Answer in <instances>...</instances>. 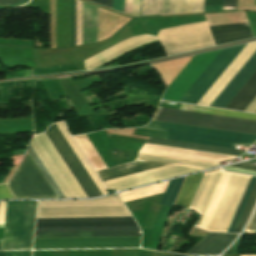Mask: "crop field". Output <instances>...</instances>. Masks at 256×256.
Returning <instances> with one entry per match:
<instances>
[{
	"instance_id": "obj_1",
	"label": "crop field",
	"mask_w": 256,
	"mask_h": 256,
	"mask_svg": "<svg viewBox=\"0 0 256 256\" xmlns=\"http://www.w3.org/2000/svg\"><path fill=\"white\" fill-rule=\"evenodd\" d=\"M220 170L204 173L189 208L198 212L215 173ZM250 177L225 171L218 172L199 210L202 216L196 227L207 231L226 232Z\"/></svg>"
},
{
	"instance_id": "obj_2",
	"label": "crop field",
	"mask_w": 256,
	"mask_h": 256,
	"mask_svg": "<svg viewBox=\"0 0 256 256\" xmlns=\"http://www.w3.org/2000/svg\"><path fill=\"white\" fill-rule=\"evenodd\" d=\"M171 165L169 163H162V162H155V161H147V160H140L135 159L133 162H129L123 165H119L113 168L97 171L102 182L136 174L139 172L163 167ZM206 168H199V167H191V166H184V165H171L143 173H139L136 175L104 182L106 189H113V190H122L198 170H203Z\"/></svg>"
},
{
	"instance_id": "obj_3",
	"label": "crop field",
	"mask_w": 256,
	"mask_h": 256,
	"mask_svg": "<svg viewBox=\"0 0 256 256\" xmlns=\"http://www.w3.org/2000/svg\"><path fill=\"white\" fill-rule=\"evenodd\" d=\"M131 216L117 194L95 200L39 201L37 218Z\"/></svg>"
},
{
	"instance_id": "obj_4",
	"label": "crop field",
	"mask_w": 256,
	"mask_h": 256,
	"mask_svg": "<svg viewBox=\"0 0 256 256\" xmlns=\"http://www.w3.org/2000/svg\"><path fill=\"white\" fill-rule=\"evenodd\" d=\"M248 44L245 46V48ZM244 48V49H245ZM243 49V50H244ZM243 50L239 53V55L243 52ZM256 51V42L250 43L249 46L244 50V52L234 59L233 62L228 66V68L222 73V75L216 80V82L210 87V89L205 93V95L199 100L197 105L209 106L211 102L217 97V95L222 91V89L228 84V82L234 77V75L239 71V69L245 64V62L251 57V55ZM256 70V52L252 55V57L246 62V64L240 69V71L235 75V77L229 82V84L223 89V91L218 95V97L212 102L210 106L212 107H220L224 108L226 104L231 100V98L237 93V91L242 87V85L248 80V78L253 74Z\"/></svg>"
},
{
	"instance_id": "obj_5",
	"label": "crop field",
	"mask_w": 256,
	"mask_h": 256,
	"mask_svg": "<svg viewBox=\"0 0 256 256\" xmlns=\"http://www.w3.org/2000/svg\"><path fill=\"white\" fill-rule=\"evenodd\" d=\"M145 128L167 131L165 139L236 149L238 144L254 143L256 136L151 121Z\"/></svg>"
},
{
	"instance_id": "obj_6",
	"label": "crop field",
	"mask_w": 256,
	"mask_h": 256,
	"mask_svg": "<svg viewBox=\"0 0 256 256\" xmlns=\"http://www.w3.org/2000/svg\"><path fill=\"white\" fill-rule=\"evenodd\" d=\"M35 201L7 202L2 249H30Z\"/></svg>"
},
{
	"instance_id": "obj_7",
	"label": "crop field",
	"mask_w": 256,
	"mask_h": 256,
	"mask_svg": "<svg viewBox=\"0 0 256 256\" xmlns=\"http://www.w3.org/2000/svg\"><path fill=\"white\" fill-rule=\"evenodd\" d=\"M157 121L256 135V121L161 108Z\"/></svg>"
},
{
	"instance_id": "obj_8",
	"label": "crop field",
	"mask_w": 256,
	"mask_h": 256,
	"mask_svg": "<svg viewBox=\"0 0 256 256\" xmlns=\"http://www.w3.org/2000/svg\"><path fill=\"white\" fill-rule=\"evenodd\" d=\"M30 144L66 198L86 197L45 133Z\"/></svg>"
},
{
	"instance_id": "obj_9",
	"label": "crop field",
	"mask_w": 256,
	"mask_h": 256,
	"mask_svg": "<svg viewBox=\"0 0 256 256\" xmlns=\"http://www.w3.org/2000/svg\"><path fill=\"white\" fill-rule=\"evenodd\" d=\"M140 230L133 217L37 219L35 232Z\"/></svg>"
},
{
	"instance_id": "obj_10",
	"label": "crop field",
	"mask_w": 256,
	"mask_h": 256,
	"mask_svg": "<svg viewBox=\"0 0 256 256\" xmlns=\"http://www.w3.org/2000/svg\"><path fill=\"white\" fill-rule=\"evenodd\" d=\"M6 184L15 198H57L28 152Z\"/></svg>"
},
{
	"instance_id": "obj_11",
	"label": "crop field",
	"mask_w": 256,
	"mask_h": 256,
	"mask_svg": "<svg viewBox=\"0 0 256 256\" xmlns=\"http://www.w3.org/2000/svg\"><path fill=\"white\" fill-rule=\"evenodd\" d=\"M157 37L168 55L215 45L206 22L160 30Z\"/></svg>"
},
{
	"instance_id": "obj_12",
	"label": "crop field",
	"mask_w": 256,
	"mask_h": 256,
	"mask_svg": "<svg viewBox=\"0 0 256 256\" xmlns=\"http://www.w3.org/2000/svg\"><path fill=\"white\" fill-rule=\"evenodd\" d=\"M67 167L87 195V197L101 196V193L95 186L94 182L78 160L77 156L63 137L62 133L56 126L51 125L45 132Z\"/></svg>"
},
{
	"instance_id": "obj_13",
	"label": "crop field",
	"mask_w": 256,
	"mask_h": 256,
	"mask_svg": "<svg viewBox=\"0 0 256 256\" xmlns=\"http://www.w3.org/2000/svg\"><path fill=\"white\" fill-rule=\"evenodd\" d=\"M245 45L222 50L179 102L196 104Z\"/></svg>"
},
{
	"instance_id": "obj_14",
	"label": "crop field",
	"mask_w": 256,
	"mask_h": 256,
	"mask_svg": "<svg viewBox=\"0 0 256 256\" xmlns=\"http://www.w3.org/2000/svg\"><path fill=\"white\" fill-rule=\"evenodd\" d=\"M236 235L208 233L186 254L219 255ZM237 237V236H236Z\"/></svg>"
},
{
	"instance_id": "obj_15",
	"label": "crop field",
	"mask_w": 256,
	"mask_h": 256,
	"mask_svg": "<svg viewBox=\"0 0 256 256\" xmlns=\"http://www.w3.org/2000/svg\"><path fill=\"white\" fill-rule=\"evenodd\" d=\"M148 37H151V36L142 35V36L132 37V38L126 40V41L123 40L124 42H121V43H119V44H117V45H115V46H113V47H111V48H109V49H107V50H105V51H103V52H101V53H99V54H97V55L87 59V60H85V64H86V66L90 65V64H92V63L102 59L103 57L113 53L114 51H116V50H118V49H120V48H122V47H124V46H126L128 44H131L133 42H136V41L148 38ZM153 41H157V38L156 37H151V38H148V39H145V40L133 43L131 45H128V46H126V47H124V48L114 52L113 54L103 58L102 60H100V61H98V62H96V63H94V64H92V65H90L88 67H86V68H87V70L94 69L95 67H97V66H99V65H101V64H103V63H105V62H107V61H109V60H111V59H113V58H115V57H117V56H119V55H121V54H123V53H125V52H127V51H129L131 49H133V48H135V47H138L140 45H143V44H146V43H149V42H153Z\"/></svg>"
},
{
	"instance_id": "obj_16",
	"label": "crop field",
	"mask_w": 256,
	"mask_h": 256,
	"mask_svg": "<svg viewBox=\"0 0 256 256\" xmlns=\"http://www.w3.org/2000/svg\"><path fill=\"white\" fill-rule=\"evenodd\" d=\"M210 31L216 45L253 37L248 23L212 27Z\"/></svg>"
},
{
	"instance_id": "obj_17",
	"label": "crop field",
	"mask_w": 256,
	"mask_h": 256,
	"mask_svg": "<svg viewBox=\"0 0 256 256\" xmlns=\"http://www.w3.org/2000/svg\"><path fill=\"white\" fill-rule=\"evenodd\" d=\"M256 97V71L225 108L244 111Z\"/></svg>"
},
{
	"instance_id": "obj_18",
	"label": "crop field",
	"mask_w": 256,
	"mask_h": 256,
	"mask_svg": "<svg viewBox=\"0 0 256 256\" xmlns=\"http://www.w3.org/2000/svg\"><path fill=\"white\" fill-rule=\"evenodd\" d=\"M141 236V231L35 233V238Z\"/></svg>"
},
{
	"instance_id": "obj_19",
	"label": "crop field",
	"mask_w": 256,
	"mask_h": 256,
	"mask_svg": "<svg viewBox=\"0 0 256 256\" xmlns=\"http://www.w3.org/2000/svg\"><path fill=\"white\" fill-rule=\"evenodd\" d=\"M192 0H163L161 14L190 12ZM204 0H193L191 12L203 11Z\"/></svg>"
},
{
	"instance_id": "obj_20",
	"label": "crop field",
	"mask_w": 256,
	"mask_h": 256,
	"mask_svg": "<svg viewBox=\"0 0 256 256\" xmlns=\"http://www.w3.org/2000/svg\"><path fill=\"white\" fill-rule=\"evenodd\" d=\"M147 143L171 146V147H178V148H185V149L207 151V152H214V153H221V154H228V155H235V156H238L240 153V151H238V150L210 147V146H203V145H196V144H189V143H182V142L167 141V140L152 138V137L148 138Z\"/></svg>"
},
{
	"instance_id": "obj_21",
	"label": "crop field",
	"mask_w": 256,
	"mask_h": 256,
	"mask_svg": "<svg viewBox=\"0 0 256 256\" xmlns=\"http://www.w3.org/2000/svg\"><path fill=\"white\" fill-rule=\"evenodd\" d=\"M203 173L188 176L186 178L184 185L174 203L175 205L186 208L189 207Z\"/></svg>"
},
{
	"instance_id": "obj_22",
	"label": "crop field",
	"mask_w": 256,
	"mask_h": 256,
	"mask_svg": "<svg viewBox=\"0 0 256 256\" xmlns=\"http://www.w3.org/2000/svg\"><path fill=\"white\" fill-rule=\"evenodd\" d=\"M57 126L59 127L64 137L66 138V140L68 141V143L70 144V146L72 147V149L74 150L78 158L80 159L81 163L83 164V166L85 167V169L87 170V172L89 173L93 181L95 182L96 186L98 187L102 195L107 194V191L103 187L102 183L100 182V180L98 179V177L96 176L92 168L90 167L89 163L87 162V160L85 159V157L83 156L79 148L77 147L76 143L70 136L64 122L57 123Z\"/></svg>"
},
{
	"instance_id": "obj_23",
	"label": "crop field",
	"mask_w": 256,
	"mask_h": 256,
	"mask_svg": "<svg viewBox=\"0 0 256 256\" xmlns=\"http://www.w3.org/2000/svg\"><path fill=\"white\" fill-rule=\"evenodd\" d=\"M180 109L256 120V114L182 104Z\"/></svg>"
},
{
	"instance_id": "obj_24",
	"label": "crop field",
	"mask_w": 256,
	"mask_h": 256,
	"mask_svg": "<svg viewBox=\"0 0 256 256\" xmlns=\"http://www.w3.org/2000/svg\"><path fill=\"white\" fill-rule=\"evenodd\" d=\"M137 158L148 159V160H156V161H164V162H172V163H179V164H186V165L206 167V168H212V167H216V166L219 165V164H215V163L200 162V161H193V160H186V159H178V158H171V157H164V156H157V155H149V154H142V153H139Z\"/></svg>"
},
{
	"instance_id": "obj_25",
	"label": "crop field",
	"mask_w": 256,
	"mask_h": 256,
	"mask_svg": "<svg viewBox=\"0 0 256 256\" xmlns=\"http://www.w3.org/2000/svg\"><path fill=\"white\" fill-rule=\"evenodd\" d=\"M255 201H256V182L254 184V187L250 193V196L246 202V205L241 213V216H240L233 232L239 233L241 231V229L243 228V226L253 208Z\"/></svg>"
},
{
	"instance_id": "obj_26",
	"label": "crop field",
	"mask_w": 256,
	"mask_h": 256,
	"mask_svg": "<svg viewBox=\"0 0 256 256\" xmlns=\"http://www.w3.org/2000/svg\"><path fill=\"white\" fill-rule=\"evenodd\" d=\"M183 179H184V177L175 179V180H171L169 182L167 189L163 195V198L160 202L161 204H164V205H167L170 207L172 206Z\"/></svg>"
},
{
	"instance_id": "obj_27",
	"label": "crop field",
	"mask_w": 256,
	"mask_h": 256,
	"mask_svg": "<svg viewBox=\"0 0 256 256\" xmlns=\"http://www.w3.org/2000/svg\"><path fill=\"white\" fill-rule=\"evenodd\" d=\"M28 151L31 154V156L33 157V159L36 162V164L38 165V167L40 168V170L42 171V173L44 174L45 178L47 179V181L49 182L51 187L53 188V190L56 193V195L58 196V198H64V196H63L64 194L62 195V193H61L62 191L60 192V190H59L60 188L58 189V187H57L58 185L56 186L55 182L53 181V179L51 178V176L49 175V173L47 172V170L45 169V167L43 166V164L41 163L38 156L36 155V153L34 152V150L32 149V147L30 145H29Z\"/></svg>"
},
{
	"instance_id": "obj_28",
	"label": "crop field",
	"mask_w": 256,
	"mask_h": 256,
	"mask_svg": "<svg viewBox=\"0 0 256 256\" xmlns=\"http://www.w3.org/2000/svg\"><path fill=\"white\" fill-rule=\"evenodd\" d=\"M162 0H143L141 16L160 14Z\"/></svg>"
},
{
	"instance_id": "obj_29",
	"label": "crop field",
	"mask_w": 256,
	"mask_h": 256,
	"mask_svg": "<svg viewBox=\"0 0 256 256\" xmlns=\"http://www.w3.org/2000/svg\"><path fill=\"white\" fill-rule=\"evenodd\" d=\"M255 180H256V177L252 176V179H251V181H250V183L248 185V188H247V190H246V192L244 194V197H243V199H242V201L240 203V206H239V208H238V210L236 212V215H235V217H234V219L232 221V224H231L228 232H232L233 231V229H234V227L236 225V222H237V220H238V218L240 216V213H241V211H242V209L244 207V204H245V202H246V200H247V198L249 196V193H250V191H251V189L253 187V184H254Z\"/></svg>"
},
{
	"instance_id": "obj_30",
	"label": "crop field",
	"mask_w": 256,
	"mask_h": 256,
	"mask_svg": "<svg viewBox=\"0 0 256 256\" xmlns=\"http://www.w3.org/2000/svg\"><path fill=\"white\" fill-rule=\"evenodd\" d=\"M223 0H205L204 11L222 10Z\"/></svg>"
},
{
	"instance_id": "obj_31",
	"label": "crop field",
	"mask_w": 256,
	"mask_h": 256,
	"mask_svg": "<svg viewBox=\"0 0 256 256\" xmlns=\"http://www.w3.org/2000/svg\"><path fill=\"white\" fill-rule=\"evenodd\" d=\"M29 0H24L22 2V0H0V5H3V6H11V5H14V4H17V3H20V4H17V5H14L13 7H18L22 4H25L27 3Z\"/></svg>"
},
{
	"instance_id": "obj_32",
	"label": "crop field",
	"mask_w": 256,
	"mask_h": 256,
	"mask_svg": "<svg viewBox=\"0 0 256 256\" xmlns=\"http://www.w3.org/2000/svg\"><path fill=\"white\" fill-rule=\"evenodd\" d=\"M0 198H14L6 184L0 185Z\"/></svg>"
},
{
	"instance_id": "obj_33",
	"label": "crop field",
	"mask_w": 256,
	"mask_h": 256,
	"mask_svg": "<svg viewBox=\"0 0 256 256\" xmlns=\"http://www.w3.org/2000/svg\"><path fill=\"white\" fill-rule=\"evenodd\" d=\"M125 1L126 0H114L113 9L124 13Z\"/></svg>"
},
{
	"instance_id": "obj_34",
	"label": "crop field",
	"mask_w": 256,
	"mask_h": 256,
	"mask_svg": "<svg viewBox=\"0 0 256 256\" xmlns=\"http://www.w3.org/2000/svg\"><path fill=\"white\" fill-rule=\"evenodd\" d=\"M5 256H31V251H6Z\"/></svg>"
},
{
	"instance_id": "obj_35",
	"label": "crop field",
	"mask_w": 256,
	"mask_h": 256,
	"mask_svg": "<svg viewBox=\"0 0 256 256\" xmlns=\"http://www.w3.org/2000/svg\"><path fill=\"white\" fill-rule=\"evenodd\" d=\"M237 0H224L223 10L236 9Z\"/></svg>"
},
{
	"instance_id": "obj_36",
	"label": "crop field",
	"mask_w": 256,
	"mask_h": 256,
	"mask_svg": "<svg viewBox=\"0 0 256 256\" xmlns=\"http://www.w3.org/2000/svg\"><path fill=\"white\" fill-rule=\"evenodd\" d=\"M245 231H253L256 232V210L255 213L250 221V223L248 224V226L246 227Z\"/></svg>"
},
{
	"instance_id": "obj_37",
	"label": "crop field",
	"mask_w": 256,
	"mask_h": 256,
	"mask_svg": "<svg viewBox=\"0 0 256 256\" xmlns=\"http://www.w3.org/2000/svg\"><path fill=\"white\" fill-rule=\"evenodd\" d=\"M112 9L113 0H89Z\"/></svg>"
},
{
	"instance_id": "obj_38",
	"label": "crop field",
	"mask_w": 256,
	"mask_h": 256,
	"mask_svg": "<svg viewBox=\"0 0 256 256\" xmlns=\"http://www.w3.org/2000/svg\"><path fill=\"white\" fill-rule=\"evenodd\" d=\"M223 169L227 170V171H233V172H239V173H246V174L256 175V172H254V171H248V170H242V169H236V168H230V167H225Z\"/></svg>"
},
{
	"instance_id": "obj_39",
	"label": "crop field",
	"mask_w": 256,
	"mask_h": 256,
	"mask_svg": "<svg viewBox=\"0 0 256 256\" xmlns=\"http://www.w3.org/2000/svg\"><path fill=\"white\" fill-rule=\"evenodd\" d=\"M231 167H237V168H243V169H249V170H255L256 171V166L251 165V164H247V163H242V164H238V165H234Z\"/></svg>"
},
{
	"instance_id": "obj_40",
	"label": "crop field",
	"mask_w": 256,
	"mask_h": 256,
	"mask_svg": "<svg viewBox=\"0 0 256 256\" xmlns=\"http://www.w3.org/2000/svg\"><path fill=\"white\" fill-rule=\"evenodd\" d=\"M6 202H0V222L4 223Z\"/></svg>"
},
{
	"instance_id": "obj_41",
	"label": "crop field",
	"mask_w": 256,
	"mask_h": 256,
	"mask_svg": "<svg viewBox=\"0 0 256 256\" xmlns=\"http://www.w3.org/2000/svg\"><path fill=\"white\" fill-rule=\"evenodd\" d=\"M256 110V98L252 101V103L247 107L245 111L254 112Z\"/></svg>"
},
{
	"instance_id": "obj_42",
	"label": "crop field",
	"mask_w": 256,
	"mask_h": 256,
	"mask_svg": "<svg viewBox=\"0 0 256 256\" xmlns=\"http://www.w3.org/2000/svg\"><path fill=\"white\" fill-rule=\"evenodd\" d=\"M167 256H182V255L173 254V253H167Z\"/></svg>"
},
{
	"instance_id": "obj_43",
	"label": "crop field",
	"mask_w": 256,
	"mask_h": 256,
	"mask_svg": "<svg viewBox=\"0 0 256 256\" xmlns=\"http://www.w3.org/2000/svg\"><path fill=\"white\" fill-rule=\"evenodd\" d=\"M229 256H240V255H229ZM241 256H254V255H241Z\"/></svg>"
},
{
	"instance_id": "obj_44",
	"label": "crop field",
	"mask_w": 256,
	"mask_h": 256,
	"mask_svg": "<svg viewBox=\"0 0 256 256\" xmlns=\"http://www.w3.org/2000/svg\"><path fill=\"white\" fill-rule=\"evenodd\" d=\"M5 255V251H0V256H4Z\"/></svg>"
},
{
	"instance_id": "obj_45",
	"label": "crop field",
	"mask_w": 256,
	"mask_h": 256,
	"mask_svg": "<svg viewBox=\"0 0 256 256\" xmlns=\"http://www.w3.org/2000/svg\"><path fill=\"white\" fill-rule=\"evenodd\" d=\"M2 239H0V249H1Z\"/></svg>"
},
{
	"instance_id": "obj_46",
	"label": "crop field",
	"mask_w": 256,
	"mask_h": 256,
	"mask_svg": "<svg viewBox=\"0 0 256 256\" xmlns=\"http://www.w3.org/2000/svg\"><path fill=\"white\" fill-rule=\"evenodd\" d=\"M256 112V111H255Z\"/></svg>"
}]
</instances>
